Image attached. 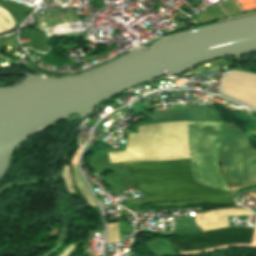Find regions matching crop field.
I'll list each match as a JSON object with an SVG mask.
<instances>
[{"instance_id":"crop-field-1","label":"crop field","mask_w":256,"mask_h":256,"mask_svg":"<svg viewBox=\"0 0 256 256\" xmlns=\"http://www.w3.org/2000/svg\"><path fill=\"white\" fill-rule=\"evenodd\" d=\"M111 163L145 160H174L190 158L187 140V121L160 122L138 127V134L130 133L125 151L109 152ZM139 191L148 196L128 200L132 206L152 202L159 207H178L190 204L232 203L229 192L214 190L197 184L191 173L189 159L163 162L125 163Z\"/></svg>"},{"instance_id":"crop-field-2","label":"crop field","mask_w":256,"mask_h":256,"mask_svg":"<svg viewBox=\"0 0 256 256\" xmlns=\"http://www.w3.org/2000/svg\"><path fill=\"white\" fill-rule=\"evenodd\" d=\"M222 122H188V139L194 179L229 191L219 168Z\"/></svg>"},{"instance_id":"crop-field-3","label":"crop field","mask_w":256,"mask_h":256,"mask_svg":"<svg viewBox=\"0 0 256 256\" xmlns=\"http://www.w3.org/2000/svg\"><path fill=\"white\" fill-rule=\"evenodd\" d=\"M251 215L249 210H230L199 215L206 230L229 226L227 216ZM254 228L227 227L204 231L190 236L168 238L167 241L180 254L193 250L215 248L226 244H252Z\"/></svg>"},{"instance_id":"crop-field-4","label":"crop field","mask_w":256,"mask_h":256,"mask_svg":"<svg viewBox=\"0 0 256 256\" xmlns=\"http://www.w3.org/2000/svg\"><path fill=\"white\" fill-rule=\"evenodd\" d=\"M221 168L230 190L256 185V150L236 126L224 123Z\"/></svg>"},{"instance_id":"crop-field-5","label":"crop field","mask_w":256,"mask_h":256,"mask_svg":"<svg viewBox=\"0 0 256 256\" xmlns=\"http://www.w3.org/2000/svg\"><path fill=\"white\" fill-rule=\"evenodd\" d=\"M220 94L256 108V74L236 70L225 73Z\"/></svg>"},{"instance_id":"crop-field-6","label":"crop field","mask_w":256,"mask_h":256,"mask_svg":"<svg viewBox=\"0 0 256 256\" xmlns=\"http://www.w3.org/2000/svg\"><path fill=\"white\" fill-rule=\"evenodd\" d=\"M72 169H73L74 181H75V184H76L78 190L80 191V193L82 194L84 199L87 201L89 206H91V207L96 206L91 194L89 193L82 177L80 176V174L78 172L77 165H72Z\"/></svg>"},{"instance_id":"crop-field-7","label":"crop field","mask_w":256,"mask_h":256,"mask_svg":"<svg viewBox=\"0 0 256 256\" xmlns=\"http://www.w3.org/2000/svg\"><path fill=\"white\" fill-rule=\"evenodd\" d=\"M108 225V239L107 244L119 241L118 238V224L112 223Z\"/></svg>"},{"instance_id":"crop-field-8","label":"crop field","mask_w":256,"mask_h":256,"mask_svg":"<svg viewBox=\"0 0 256 256\" xmlns=\"http://www.w3.org/2000/svg\"><path fill=\"white\" fill-rule=\"evenodd\" d=\"M63 178L65 180V184L67 186V189L69 190V192H73V186H72V180H71V176H70V172H69V166L64 168L63 171Z\"/></svg>"}]
</instances>
